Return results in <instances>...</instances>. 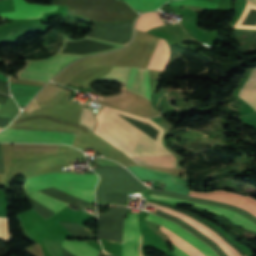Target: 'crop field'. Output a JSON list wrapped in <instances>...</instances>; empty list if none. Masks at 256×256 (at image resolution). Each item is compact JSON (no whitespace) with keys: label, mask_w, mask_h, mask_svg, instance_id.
<instances>
[{"label":"crop field","mask_w":256,"mask_h":256,"mask_svg":"<svg viewBox=\"0 0 256 256\" xmlns=\"http://www.w3.org/2000/svg\"><path fill=\"white\" fill-rule=\"evenodd\" d=\"M52 4L67 6V15L95 22L128 21L138 16L121 0H53Z\"/></svg>","instance_id":"1"},{"label":"crop field","mask_w":256,"mask_h":256,"mask_svg":"<svg viewBox=\"0 0 256 256\" xmlns=\"http://www.w3.org/2000/svg\"><path fill=\"white\" fill-rule=\"evenodd\" d=\"M83 39H88V40H93L97 41L94 39L90 38H82V39H77L73 40L69 38L68 36L64 35V47L66 46V42H71V41H78V40H83ZM101 42V41H97ZM106 43V42H102ZM111 44V43H107ZM115 45V44H111ZM119 46V45H116ZM64 47L56 54L52 55L48 59L45 60H39V61H28L25 60V65L23 68H21L15 75L17 78L20 79H27V80H34V81H41V82H47L56 72H58L60 69H62L65 65H67L70 61L82 57L84 55L88 54H94V53H100V52H106L110 50H114L123 46H119L116 48H111L107 50H102V51H97L93 53H88V54H60L61 51L64 49Z\"/></svg>","instance_id":"2"},{"label":"crop field","mask_w":256,"mask_h":256,"mask_svg":"<svg viewBox=\"0 0 256 256\" xmlns=\"http://www.w3.org/2000/svg\"><path fill=\"white\" fill-rule=\"evenodd\" d=\"M146 219L154 221L162 225L163 227L173 231L174 233H176L177 235L185 239L187 242H189L191 245L198 248L205 256H217L208 245L196 239L192 234L188 233L187 231H185L183 228L179 227L175 223L159 218L151 213L147 215ZM163 227H161L160 230L169 236L170 240L173 243V246L178 248L180 251L186 253L188 256H204L198 249L194 248L185 240H183L173 232ZM175 247L173 248L176 256H187L186 254L177 250Z\"/></svg>","instance_id":"3"},{"label":"crop field","mask_w":256,"mask_h":256,"mask_svg":"<svg viewBox=\"0 0 256 256\" xmlns=\"http://www.w3.org/2000/svg\"><path fill=\"white\" fill-rule=\"evenodd\" d=\"M98 182L97 175L74 173H50L26 179L22 185L24 193H32L52 186L94 188Z\"/></svg>","instance_id":"4"},{"label":"crop field","mask_w":256,"mask_h":256,"mask_svg":"<svg viewBox=\"0 0 256 256\" xmlns=\"http://www.w3.org/2000/svg\"><path fill=\"white\" fill-rule=\"evenodd\" d=\"M74 135L57 131L6 129L0 133V142L63 143L72 145Z\"/></svg>","instance_id":"5"},{"label":"crop field","mask_w":256,"mask_h":256,"mask_svg":"<svg viewBox=\"0 0 256 256\" xmlns=\"http://www.w3.org/2000/svg\"><path fill=\"white\" fill-rule=\"evenodd\" d=\"M15 12L0 13L1 16L8 18H40L42 12H48L57 9L58 6L43 5L37 3H27L25 0H13ZM12 0H0V12L14 11Z\"/></svg>","instance_id":"6"},{"label":"crop field","mask_w":256,"mask_h":256,"mask_svg":"<svg viewBox=\"0 0 256 256\" xmlns=\"http://www.w3.org/2000/svg\"><path fill=\"white\" fill-rule=\"evenodd\" d=\"M57 189L73 196L78 199L87 201L91 204H93V197H94V189H83V188H65V187H56ZM31 198H33L38 203L42 204L46 208L50 209L54 213L58 211L63 206H66L68 204L61 202L59 200H56L52 197H49L47 195H44L40 192L28 194Z\"/></svg>","instance_id":"7"},{"label":"crop field","mask_w":256,"mask_h":256,"mask_svg":"<svg viewBox=\"0 0 256 256\" xmlns=\"http://www.w3.org/2000/svg\"><path fill=\"white\" fill-rule=\"evenodd\" d=\"M139 233L140 230L137 223V214H128L125 221L122 240L123 256H138L140 242ZM139 256H143L141 252V243Z\"/></svg>","instance_id":"8"},{"label":"crop field","mask_w":256,"mask_h":256,"mask_svg":"<svg viewBox=\"0 0 256 256\" xmlns=\"http://www.w3.org/2000/svg\"><path fill=\"white\" fill-rule=\"evenodd\" d=\"M189 195L193 197L213 199L230 205L241 207L242 209L256 216V200L248 196L243 197L238 194L222 191H214L211 193H197L190 191Z\"/></svg>","instance_id":"9"},{"label":"crop field","mask_w":256,"mask_h":256,"mask_svg":"<svg viewBox=\"0 0 256 256\" xmlns=\"http://www.w3.org/2000/svg\"><path fill=\"white\" fill-rule=\"evenodd\" d=\"M147 206L157 208V209H159L163 212H166V213H169L171 215H174V216H177V217L181 218L186 223H188L189 225L194 227L196 230H198L199 232H201L205 236H207L210 239H212L213 241H215L219 245V247L226 253L227 256H241L237 251L234 250V248L232 246H230L226 241H224L219 235L212 232L211 230H209L208 228H206L202 224L194 221L193 219H191V218H189V217H187V216H185L181 213H178V212H176L172 209L166 208V207L151 205V204H148Z\"/></svg>","instance_id":"10"},{"label":"crop field","mask_w":256,"mask_h":256,"mask_svg":"<svg viewBox=\"0 0 256 256\" xmlns=\"http://www.w3.org/2000/svg\"><path fill=\"white\" fill-rule=\"evenodd\" d=\"M150 196L153 199H159V200H165V201H170V202H176V203L189 204V205L203 207L211 212H214L216 214L230 218L231 221L235 222L236 224H238L239 226H241L243 228L256 231V224L250 222L249 220L243 218L242 216H240L234 212H231V211H228V210H225L222 208L188 202V201H183V200H178V199H173V198H168V197H162V196H157V195H152V194H150Z\"/></svg>","instance_id":"11"},{"label":"crop field","mask_w":256,"mask_h":256,"mask_svg":"<svg viewBox=\"0 0 256 256\" xmlns=\"http://www.w3.org/2000/svg\"><path fill=\"white\" fill-rule=\"evenodd\" d=\"M138 70H139V76L141 81L142 93L144 96L151 99L150 84H149V77H148L147 70L141 69V68H138ZM138 70L137 68L131 69L130 76L125 89L142 95L139 76H138Z\"/></svg>","instance_id":"12"},{"label":"crop field","mask_w":256,"mask_h":256,"mask_svg":"<svg viewBox=\"0 0 256 256\" xmlns=\"http://www.w3.org/2000/svg\"><path fill=\"white\" fill-rule=\"evenodd\" d=\"M169 61V44L166 40L160 38L154 52L149 61L148 67L150 69L163 70Z\"/></svg>","instance_id":"13"},{"label":"crop field","mask_w":256,"mask_h":256,"mask_svg":"<svg viewBox=\"0 0 256 256\" xmlns=\"http://www.w3.org/2000/svg\"><path fill=\"white\" fill-rule=\"evenodd\" d=\"M39 86L10 83L11 93L18 105L25 106L30 99L41 89Z\"/></svg>","instance_id":"14"},{"label":"crop field","mask_w":256,"mask_h":256,"mask_svg":"<svg viewBox=\"0 0 256 256\" xmlns=\"http://www.w3.org/2000/svg\"><path fill=\"white\" fill-rule=\"evenodd\" d=\"M45 27L46 25L38 24V23H23V24L3 27V28H0V42L14 35H17L21 32H26L30 30L43 31Z\"/></svg>","instance_id":"15"},{"label":"crop field","mask_w":256,"mask_h":256,"mask_svg":"<svg viewBox=\"0 0 256 256\" xmlns=\"http://www.w3.org/2000/svg\"><path fill=\"white\" fill-rule=\"evenodd\" d=\"M137 164L174 168L168 155L128 156Z\"/></svg>","instance_id":"16"},{"label":"crop field","mask_w":256,"mask_h":256,"mask_svg":"<svg viewBox=\"0 0 256 256\" xmlns=\"http://www.w3.org/2000/svg\"><path fill=\"white\" fill-rule=\"evenodd\" d=\"M63 248L75 256H96L99 251L87 245L84 241H64Z\"/></svg>","instance_id":"17"},{"label":"crop field","mask_w":256,"mask_h":256,"mask_svg":"<svg viewBox=\"0 0 256 256\" xmlns=\"http://www.w3.org/2000/svg\"><path fill=\"white\" fill-rule=\"evenodd\" d=\"M240 96L251 107L256 108V68L253 70L249 80L241 88Z\"/></svg>","instance_id":"18"},{"label":"crop field","mask_w":256,"mask_h":256,"mask_svg":"<svg viewBox=\"0 0 256 256\" xmlns=\"http://www.w3.org/2000/svg\"><path fill=\"white\" fill-rule=\"evenodd\" d=\"M133 9L140 11L141 13L154 10L164 4L168 0H124Z\"/></svg>","instance_id":"19"},{"label":"crop field","mask_w":256,"mask_h":256,"mask_svg":"<svg viewBox=\"0 0 256 256\" xmlns=\"http://www.w3.org/2000/svg\"><path fill=\"white\" fill-rule=\"evenodd\" d=\"M130 67L113 66L112 70L99 80L125 82Z\"/></svg>","instance_id":"20"},{"label":"crop field","mask_w":256,"mask_h":256,"mask_svg":"<svg viewBox=\"0 0 256 256\" xmlns=\"http://www.w3.org/2000/svg\"><path fill=\"white\" fill-rule=\"evenodd\" d=\"M180 4L199 6V7L211 8V9H216L218 5L216 3H210V2L199 1V0H180V1H174V2L168 3V5H174V6H178Z\"/></svg>","instance_id":"21"},{"label":"crop field","mask_w":256,"mask_h":256,"mask_svg":"<svg viewBox=\"0 0 256 256\" xmlns=\"http://www.w3.org/2000/svg\"><path fill=\"white\" fill-rule=\"evenodd\" d=\"M79 124L86 126L90 130H93V128L95 126V117H94L91 109L83 107Z\"/></svg>","instance_id":"22"},{"label":"crop field","mask_w":256,"mask_h":256,"mask_svg":"<svg viewBox=\"0 0 256 256\" xmlns=\"http://www.w3.org/2000/svg\"><path fill=\"white\" fill-rule=\"evenodd\" d=\"M244 119L250 127L256 129V113L244 116Z\"/></svg>","instance_id":"23"},{"label":"crop field","mask_w":256,"mask_h":256,"mask_svg":"<svg viewBox=\"0 0 256 256\" xmlns=\"http://www.w3.org/2000/svg\"><path fill=\"white\" fill-rule=\"evenodd\" d=\"M0 217H5V216H4V213H3V211H2L1 205H0Z\"/></svg>","instance_id":"24"},{"label":"crop field","mask_w":256,"mask_h":256,"mask_svg":"<svg viewBox=\"0 0 256 256\" xmlns=\"http://www.w3.org/2000/svg\"><path fill=\"white\" fill-rule=\"evenodd\" d=\"M249 2L256 4V0H249Z\"/></svg>","instance_id":"25"},{"label":"crop field","mask_w":256,"mask_h":256,"mask_svg":"<svg viewBox=\"0 0 256 256\" xmlns=\"http://www.w3.org/2000/svg\"><path fill=\"white\" fill-rule=\"evenodd\" d=\"M0 107H2V104H0Z\"/></svg>","instance_id":"26"},{"label":"crop field","mask_w":256,"mask_h":256,"mask_svg":"<svg viewBox=\"0 0 256 256\" xmlns=\"http://www.w3.org/2000/svg\"><path fill=\"white\" fill-rule=\"evenodd\" d=\"M157 183H159L158 181H156Z\"/></svg>","instance_id":"27"},{"label":"crop field","mask_w":256,"mask_h":256,"mask_svg":"<svg viewBox=\"0 0 256 256\" xmlns=\"http://www.w3.org/2000/svg\"><path fill=\"white\" fill-rule=\"evenodd\" d=\"M0 130H2V129L0 128Z\"/></svg>","instance_id":"28"}]
</instances>
